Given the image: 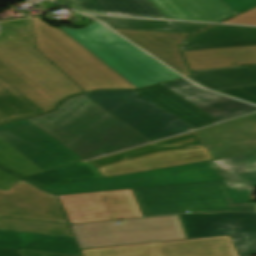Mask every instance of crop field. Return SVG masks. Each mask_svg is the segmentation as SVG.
Segmentation results:
<instances>
[{
	"mask_svg": "<svg viewBox=\"0 0 256 256\" xmlns=\"http://www.w3.org/2000/svg\"><path fill=\"white\" fill-rule=\"evenodd\" d=\"M86 96L151 141L193 130L132 91L96 92Z\"/></svg>",
	"mask_w": 256,
	"mask_h": 256,
	"instance_id": "crop-field-8",
	"label": "crop field"
},
{
	"mask_svg": "<svg viewBox=\"0 0 256 256\" xmlns=\"http://www.w3.org/2000/svg\"><path fill=\"white\" fill-rule=\"evenodd\" d=\"M225 23L229 24H244V25H256V9L245 13L241 16H238L232 20H229Z\"/></svg>",
	"mask_w": 256,
	"mask_h": 256,
	"instance_id": "crop-field-32",
	"label": "crop field"
},
{
	"mask_svg": "<svg viewBox=\"0 0 256 256\" xmlns=\"http://www.w3.org/2000/svg\"><path fill=\"white\" fill-rule=\"evenodd\" d=\"M0 24L2 63L55 105L84 92L36 51L32 18L0 21Z\"/></svg>",
	"mask_w": 256,
	"mask_h": 256,
	"instance_id": "crop-field-3",
	"label": "crop field"
},
{
	"mask_svg": "<svg viewBox=\"0 0 256 256\" xmlns=\"http://www.w3.org/2000/svg\"><path fill=\"white\" fill-rule=\"evenodd\" d=\"M191 81L209 90H225L256 85V66L193 72Z\"/></svg>",
	"mask_w": 256,
	"mask_h": 256,
	"instance_id": "crop-field-22",
	"label": "crop field"
},
{
	"mask_svg": "<svg viewBox=\"0 0 256 256\" xmlns=\"http://www.w3.org/2000/svg\"><path fill=\"white\" fill-rule=\"evenodd\" d=\"M0 229L72 237L66 224L0 218Z\"/></svg>",
	"mask_w": 256,
	"mask_h": 256,
	"instance_id": "crop-field-26",
	"label": "crop field"
},
{
	"mask_svg": "<svg viewBox=\"0 0 256 256\" xmlns=\"http://www.w3.org/2000/svg\"><path fill=\"white\" fill-rule=\"evenodd\" d=\"M182 53L191 71L256 64V46Z\"/></svg>",
	"mask_w": 256,
	"mask_h": 256,
	"instance_id": "crop-field-20",
	"label": "crop field"
},
{
	"mask_svg": "<svg viewBox=\"0 0 256 256\" xmlns=\"http://www.w3.org/2000/svg\"><path fill=\"white\" fill-rule=\"evenodd\" d=\"M221 92L222 94L237 98V99H247L256 104V86L240 88V89H232L225 91H216Z\"/></svg>",
	"mask_w": 256,
	"mask_h": 256,
	"instance_id": "crop-field-29",
	"label": "crop field"
},
{
	"mask_svg": "<svg viewBox=\"0 0 256 256\" xmlns=\"http://www.w3.org/2000/svg\"><path fill=\"white\" fill-rule=\"evenodd\" d=\"M0 166L22 176L43 172L40 168L0 139Z\"/></svg>",
	"mask_w": 256,
	"mask_h": 256,
	"instance_id": "crop-field-27",
	"label": "crop field"
},
{
	"mask_svg": "<svg viewBox=\"0 0 256 256\" xmlns=\"http://www.w3.org/2000/svg\"><path fill=\"white\" fill-rule=\"evenodd\" d=\"M61 29L137 88L181 78L96 21L85 29Z\"/></svg>",
	"mask_w": 256,
	"mask_h": 256,
	"instance_id": "crop-field-5",
	"label": "crop field"
},
{
	"mask_svg": "<svg viewBox=\"0 0 256 256\" xmlns=\"http://www.w3.org/2000/svg\"><path fill=\"white\" fill-rule=\"evenodd\" d=\"M41 113L43 111L0 77V123Z\"/></svg>",
	"mask_w": 256,
	"mask_h": 256,
	"instance_id": "crop-field-25",
	"label": "crop field"
},
{
	"mask_svg": "<svg viewBox=\"0 0 256 256\" xmlns=\"http://www.w3.org/2000/svg\"><path fill=\"white\" fill-rule=\"evenodd\" d=\"M0 247L80 256L73 238L69 237L0 230Z\"/></svg>",
	"mask_w": 256,
	"mask_h": 256,
	"instance_id": "crop-field-21",
	"label": "crop field"
},
{
	"mask_svg": "<svg viewBox=\"0 0 256 256\" xmlns=\"http://www.w3.org/2000/svg\"><path fill=\"white\" fill-rule=\"evenodd\" d=\"M0 138L44 171L83 161L27 119L0 126Z\"/></svg>",
	"mask_w": 256,
	"mask_h": 256,
	"instance_id": "crop-field-9",
	"label": "crop field"
},
{
	"mask_svg": "<svg viewBox=\"0 0 256 256\" xmlns=\"http://www.w3.org/2000/svg\"><path fill=\"white\" fill-rule=\"evenodd\" d=\"M163 86L219 121L256 110L255 106L202 90L186 80Z\"/></svg>",
	"mask_w": 256,
	"mask_h": 256,
	"instance_id": "crop-field-14",
	"label": "crop field"
},
{
	"mask_svg": "<svg viewBox=\"0 0 256 256\" xmlns=\"http://www.w3.org/2000/svg\"><path fill=\"white\" fill-rule=\"evenodd\" d=\"M169 19L219 22L234 14L220 0H151Z\"/></svg>",
	"mask_w": 256,
	"mask_h": 256,
	"instance_id": "crop-field-17",
	"label": "crop field"
},
{
	"mask_svg": "<svg viewBox=\"0 0 256 256\" xmlns=\"http://www.w3.org/2000/svg\"><path fill=\"white\" fill-rule=\"evenodd\" d=\"M115 31L134 42L141 48L145 49L155 57L159 58L166 64L170 65L177 71L181 72L186 77L190 75L188 67L180 51L178 50L185 37L189 35L120 30Z\"/></svg>",
	"mask_w": 256,
	"mask_h": 256,
	"instance_id": "crop-field-15",
	"label": "crop field"
},
{
	"mask_svg": "<svg viewBox=\"0 0 256 256\" xmlns=\"http://www.w3.org/2000/svg\"><path fill=\"white\" fill-rule=\"evenodd\" d=\"M256 45V27L218 25L187 38L182 51Z\"/></svg>",
	"mask_w": 256,
	"mask_h": 256,
	"instance_id": "crop-field-16",
	"label": "crop field"
},
{
	"mask_svg": "<svg viewBox=\"0 0 256 256\" xmlns=\"http://www.w3.org/2000/svg\"><path fill=\"white\" fill-rule=\"evenodd\" d=\"M92 16V15H90ZM112 29L194 34L213 26L210 24L141 20L117 17L92 16Z\"/></svg>",
	"mask_w": 256,
	"mask_h": 256,
	"instance_id": "crop-field-23",
	"label": "crop field"
},
{
	"mask_svg": "<svg viewBox=\"0 0 256 256\" xmlns=\"http://www.w3.org/2000/svg\"><path fill=\"white\" fill-rule=\"evenodd\" d=\"M235 15L256 6V0H221Z\"/></svg>",
	"mask_w": 256,
	"mask_h": 256,
	"instance_id": "crop-field-30",
	"label": "crop field"
},
{
	"mask_svg": "<svg viewBox=\"0 0 256 256\" xmlns=\"http://www.w3.org/2000/svg\"><path fill=\"white\" fill-rule=\"evenodd\" d=\"M0 189L8 191L21 180L0 169Z\"/></svg>",
	"mask_w": 256,
	"mask_h": 256,
	"instance_id": "crop-field-33",
	"label": "crop field"
},
{
	"mask_svg": "<svg viewBox=\"0 0 256 256\" xmlns=\"http://www.w3.org/2000/svg\"><path fill=\"white\" fill-rule=\"evenodd\" d=\"M40 19L33 18L37 49L86 92L136 88L63 30Z\"/></svg>",
	"mask_w": 256,
	"mask_h": 256,
	"instance_id": "crop-field-4",
	"label": "crop field"
},
{
	"mask_svg": "<svg viewBox=\"0 0 256 256\" xmlns=\"http://www.w3.org/2000/svg\"><path fill=\"white\" fill-rule=\"evenodd\" d=\"M120 248L124 256H237L229 236Z\"/></svg>",
	"mask_w": 256,
	"mask_h": 256,
	"instance_id": "crop-field-13",
	"label": "crop field"
},
{
	"mask_svg": "<svg viewBox=\"0 0 256 256\" xmlns=\"http://www.w3.org/2000/svg\"><path fill=\"white\" fill-rule=\"evenodd\" d=\"M115 222H120L116 225ZM80 249L186 239L179 216L135 218L69 225Z\"/></svg>",
	"mask_w": 256,
	"mask_h": 256,
	"instance_id": "crop-field-7",
	"label": "crop field"
},
{
	"mask_svg": "<svg viewBox=\"0 0 256 256\" xmlns=\"http://www.w3.org/2000/svg\"><path fill=\"white\" fill-rule=\"evenodd\" d=\"M0 76L37 105L44 112L53 110L56 106L23 81L19 76L0 62Z\"/></svg>",
	"mask_w": 256,
	"mask_h": 256,
	"instance_id": "crop-field-28",
	"label": "crop field"
},
{
	"mask_svg": "<svg viewBox=\"0 0 256 256\" xmlns=\"http://www.w3.org/2000/svg\"><path fill=\"white\" fill-rule=\"evenodd\" d=\"M102 178L90 161L79 162L54 170L46 171L29 177L24 180L40 187H50L92 179Z\"/></svg>",
	"mask_w": 256,
	"mask_h": 256,
	"instance_id": "crop-field-24",
	"label": "crop field"
},
{
	"mask_svg": "<svg viewBox=\"0 0 256 256\" xmlns=\"http://www.w3.org/2000/svg\"><path fill=\"white\" fill-rule=\"evenodd\" d=\"M134 92L194 129L218 122L161 85Z\"/></svg>",
	"mask_w": 256,
	"mask_h": 256,
	"instance_id": "crop-field-19",
	"label": "crop field"
},
{
	"mask_svg": "<svg viewBox=\"0 0 256 256\" xmlns=\"http://www.w3.org/2000/svg\"><path fill=\"white\" fill-rule=\"evenodd\" d=\"M29 120L85 160L150 142L84 95Z\"/></svg>",
	"mask_w": 256,
	"mask_h": 256,
	"instance_id": "crop-field-1",
	"label": "crop field"
},
{
	"mask_svg": "<svg viewBox=\"0 0 256 256\" xmlns=\"http://www.w3.org/2000/svg\"><path fill=\"white\" fill-rule=\"evenodd\" d=\"M179 216L187 239L230 235L238 256L256 255V213Z\"/></svg>",
	"mask_w": 256,
	"mask_h": 256,
	"instance_id": "crop-field-11",
	"label": "crop field"
},
{
	"mask_svg": "<svg viewBox=\"0 0 256 256\" xmlns=\"http://www.w3.org/2000/svg\"><path fill=\"white\" fill-rule=\"evenodd\" d=\"M57 197L69 224L143 217L132 190Z\"/></svg>",
	"mask_w": 256,
	"mask_h": 256,
	"instance_id": "crop-field-10",
	"label": "crop field"
},
{
	"mask_svg": "<svg viewBox=\"0 0 256 256\" xmlns=\"http://www.w3.org/2000/svg\"><path fill=\"white\" fill-rule=\"evenodd\" d=\"M218 180H224L235 204L250 203L256 154L44 189L65 195Z\"/></svg>",
	"mask_w": 256,
	"mask_h": 256,
	"instance_id": "crop-field-2",
	"label": "crop field"
},
{
	"mask_svg": "<svg viewBox=\"0 0 256 256\" xmlns=\"http://www.w3.org/2000/svg\"><path fill=\"white\" fill-rule=\"evenodd\" d=\"M0 256H22L18 250L0 248Z\"/></svg>",
	"mask_w": 256,
	"mask_h": 256,
	"instance_id": "crop-field-35",
	"label": "crop field"
},
{
	"mask_svg": "<svg viewBox=\"0 0 256 256\" xmlns=\"http://www.w3.org/2000/svg\"><path fill=\"white\" fill-rule=\"evenodd\" d=\"M82 256H123L119 247L81 250Z\"/></svg>",
	"mask_w": 256,
	"mask_h": 256,
	"instance_id": "crop-field-31",
	"label": "crop field"
},
{
	"mask_svg": "<svg viewBox=\"0 0 256 256\" xmlns=\"http://www.w3.org/2000/svg\"><path fill=\"white\" fill-rule=\"evenodd\" d=\"M0 215L65 222L53 195L22 181L8 192L0 190Z\"/></svg>",
	"mask_w": 256,
	"mask_h": 256,
	"instance_id": "crop-field-12",
	"label": "crop field"
},
{
	"mask_svg": "<svg viewBox=\"0 0 256 256\" xmlns=\"http://www.w3.org/2000/svg\"><path fill=\"white\" fill-rule=\"evenodd\" d=\"M23 256H68V255H59V254H51V253H43V252H32V251H21Z\"/></svg>",
	"mask_w": 256,
	"mask_h": 256,
	"instance_id": "crop-field-34",
	"label": "crop field"
},
{
	"mask_svg": "<svg viewBox=\"0 0 256 256\" xmlns=\"http://www.w3.org/2000/svg\"><path fill=\"white\" fill-rule=\"evenodd\" d=\"M133 191L144 216L185 211H256V204L235 205L223 181Z\"/></svg>",
	"mask_w": 256,
	"mask_h": 256,
	"instance_id": "crop-field-6",
	"label": "crop field"
},
{
	"mask_svg": "<svg viewBox=\"0 0 256 256\" xmlns=\"http://www.w3.org/2000/svg\"><path fill=\"white\" fill-rule=\"evenodd\" d=\"M58 3L79 12L167 19L148 0H62Z\"/></svg>",
	"mask_w": 256,
	"mask_h": 256,
	"instance_id": "crop-field-18",
	"label": "crop field"
}]
</instances>
